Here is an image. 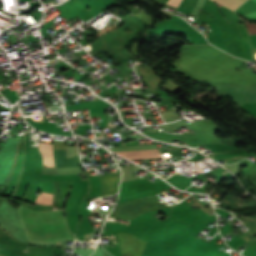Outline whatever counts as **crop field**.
<instances>
[{
    "instance_id": "obj_12",
    "label": "crop field",
    "mask_w": 256,
    "mask_h": 256,
    "mask_svg": "<svg viewBox=\"0 0 256 256\" xmlns=\"http://www.w3.org/2000/svg\"><path fill=\"white\" fill-rule=\"evenodd\" d=\"M256 2V0H254Z\"/></svg>"
},
{
    "instance_id": "obj_5",
    "label": "crop field",
    "mask_w": 256,
    "mask_h": 256,
    "mask_svg": "<svg viewBox=\"0 0 256 256\" xmlns=\"http://www.w3.org/2000/svg\"><path fill=\"white\" fill-rule=\"evenodd\" d=\"M119 155L129 159H148V158H158L160 157L158 150H146V151H124V152H116Z\"/></svg>"
},
{
    "instance_id": "obj_8",
    "label": "crop field",
    "mask_w": 256,
    "mask_h": 256,
    "mask_svg": "<svg viewBox=\"0 0 256 256\" xmlns=\"http://www.w3.org/2000/svg\"><path fill=\"white\" fill-rule=\"evenodd\" d=\"M180 1H181V0H169V1L167 2V4H169V5H171V6L175 7V8H177V6H178V4L180 3Z\"/></svg>"
},
{
    "instance_id": "obj_1",
    "label": "crop field",
    "mask_w": 256,
    "mask_h": 256,
    "mask_svg": "<svg viewBox=\"0 0 256 256\" xmlns=\"http://www.w3.org/2000/svg\"><path fill=\"white\" fill-rule=\"evenodd\" d=\"M19 212L29 240L53 243L74 239L62 211H37L22 205Z\"/></svg>"
},
{
    "instance_id": "obj_4",
    "label": "crop field",
    "mask_w": 256,
    "mask_h": 256,
    "mask_svg": "<svg viewBox=\"0 0 256 256\" xmlns=\"http://www.w3.org/2000/svg\"><path fill=\"white\" fill-rule=\"evenodd\" d=\"M120 174L100 176L102 195L117 190Z\"/></svg>"
},
{
    "instance_id": "obj_9",
    "label": "crop field",
    "mask_w": 256,
    "mask_h": 256,
    "mask_svg": "<svg viewBox=\"0 0 256 256\" xmlns=\"http://www.w3.org/2000/svg\"><path fill=\"white\" fill-rule=\"evenodd\" d=\"M244 16L247 17V18L256 17V11H253V12L247 14V15H244Z\"/></svg>"
},
{
    "instance_id": "obj_7",
    "label": "crop field",
    "mask_w": 256,
    "mask_h": 256,
    "mask_svg": "<svg viewBox=\"0 0 256 256\" xmlns=\"http://www.w3.org/2000/svg\"><path fill=\"white\" fill-rule=\"evenodd\" d=\"M232 10H236L239 6H241L246 0H215Z\"/></svg>"
},
{
    "instance_id": "obj_10",
    "label": "crop field",
    "mask_w": 256,
    "mask_h": 256,
    "mask_svg": "<svg viewBox=\"0 0 256 256\" xmlns=\"http://www.w3.org/2000/svg\"><path fill=\"white\" fill-rule=\"evenodd\" d=\"M249 20H251V21H253V22H256V18H251V19H249Z\"/></svg>"
},
{
    "instance_id": "obj_2",
    "label": "crop field",
    "mask_w": 256,
    "mask_h": 256,
    "mask_svg": "<svg viewBox=\"0 0 256 256\" xmlns=\"http://www.w3.org/2000/svg\"><path fill=\"white\" fill-rule=\"evenodd\" d=\"M163 207L169 205L161 202L156 195L139 197L119 203L110 216L131 220L144 212Z\"/></svg>"
},
{
    "instance_id": "obj_11",
    "label": "crop field",
    "mask_w": 256,
    "mask_h": 256,
    "mask_svg": "<svg viewBox=\"0 0 256 256\" xmlns=\"http://www.w3.org/2000/svg\"><path fill=\"white\" fill-rule=\"evenodd\" d=\"M158 1H161V2H164V3H166L168 0H158Z\"/></svg>"
},
{
    "instance_id": "obj_3",
    "label": "crop field",
    "mask_w": 256,
    "mask_h": 256,
    "mask_svg": "<svg viewBox=\"0 0 256 256\" xmlns=\"http://www.w3.org/2000/svg\"><path fill=\"white\" fill-rule=\"evenodd\" d=\"M122 256H141L146 242L130 235L116 233Z\"/></svg>"
},
{
    "instance_id": "obj_6",
    "label": "crop field",
    "mask_w": 256,
    "mask_h": 256,
    "mask_svg": "<svg viewBox=\"0 0 256 256\" xmlns=\"http://www.w3.org/2000/svg\"><path fill=\"white\" fill-rule=\"evenodd\" d=\"M39 150L43 159V166L55 167L53 160V144L39 143Z\"/></svg>"
}]
</instances>
